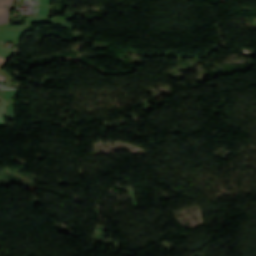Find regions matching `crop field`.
Segmentation results:
<instances>
[{
	"mask_svg": "<svg viewBox=\"0 0 256 256\" xmlns=\"http://www.w3.org/2000/svg\"><path fill=\"white\" fill-rule=\"evenodd\" d=\"M0 126H5V125H4V121H3V118H2V117H0Z\"/></svg>",
	"mask_w": 256,
	"mask_h": 256,
	"instance_id": "1",
	"label": "crop field"
},
{
	"mask_svg": "<svg viewBox=\"0 0 256 256\" xmlns=\"http://www.w3.org/2000/svg\"><path fill=\"white\" fill-rule=\"evenodd\" d=\"M0 80L3 81V80H4V77H1V76H0Z\"/></svg>",
	"mask_w": 256,
	"mask_h": 256,
	"instance_id": "2",
	"label": "crop field"
}]
</instances>
